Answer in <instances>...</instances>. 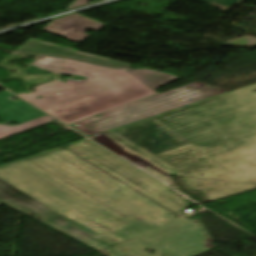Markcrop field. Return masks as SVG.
<instances>
[{"label":"crop field","mask_w":256,"mask_h":256,"mask_svg":"<svg viewBox=\"0 0 256 256\" xmlns=\"http://www.w3.org/2000/svg\"><path fill=\"white\" fill-rule=\"evenodd\" d=\"M137 71H140L141 73H138ZM133 76L141 80L143 83L148 85L149 87H153L152 89H155L157 87H160L174 79H177L179 77L157 72V71H149V70H133L130 69L128 71ZM150 87V88H151Z\"/></svg>","instance_id":"obj_12"},{"label":"crop field","mask_w":256,"mask_h":256,"mask_svg":"<svg viewBox=\"0 0 256 256\" xmlns=\"http://www.w3.org/2000/svg\"><path fill=\"white\" fill-rule=\"evenodd\" d=\"M33 88L35 89V92L31 94H20V93H16V94L24 98L25 100L31 102L35 100L37 96L42 97L44 95L68 88V86L65 85L62 81H52L42 85L35 86Z\"/></svg>","instance_id":"obj_13"},{"label":"crop field","mask_w":256,"mask_h":256,"mask_svg":"<svg viewBox=\"0 0 256 256\" xmlns=\"http://www.w3.org/2000/svg\"><path fill=\"white\" fill-rule=\"evenodd\" d=\"M89 138H91L93 140L125 141V140L119 138L118 136L108 132V131L100 133V134L92 136V137H89Z\"/></svg>","instance_id":"obj_15"},{"label":"crop field","mask_w":256,"mask_h":256,"mask_svg":"<svg viewBox=\"0 0 256 256\" xmlns=\"http://www.w3.org/2000/svg\"><path fill=\"white\" fill-rule=\"evenodd\" d=\"M0 201L21 213L26 211L8 203V201L41 218L49 216L40 222L97 251H103L109 247V245L90 235L94 231L51 211L1 179Z\"/></svg>","instance_id":"obj_6"},{"label":"crop field","mask_w":256,"mask_h":256,"mask_svg":"<svg viewBox=\"0 0 256 256\" xmlns=\"http://www.w3.org/2000/svg\"><path fill=\"white\" fill-rule=\"evenodd\" d=\"M0 178L44 206L116 241L109 231L141 216L153 223L174 213L69 150L0 169Z\"/></svg>","instance_id":"obj_1"},{"label":"crop field","mask_w":256,"mask_h":256,"mask_svg":"<svg viewBox=\"0 0 256 256\" xmlns=\"http://www.w3.org/2000/svg\"><path fill=\"white\" fill-rule=\"evenodd\" d=\"M76 149L85 154V156L82 158H84L86 161L148 197L164 192L160 188L156 187L88 145L78 147Z\"/></svg>","instance_id":"obj_8"},{"label":"crop field","mask_w":256,"mask_h":256,"mask_svg":"<svg viewBox=\"0 0 256 256\" xmlns=\"http://www.w3.org/2000/svg\"><path fill=\"white\" fill-rule=\"evenodd\" d=\"M89 0H76L73 4H71L67 9H72L80 6H84Z\"/></svg>","instance_id":"obj_16"},{"label":"crop field","mask_w":256,"mask_h":256,"mask_svg":"<svg viewBox=\"0 0 256 256\" xmlns=\"http://www.w3.org/2000/svg\"><path fill=\"white\" fill-rule=\"evenodd\" d=\"M12 54L39 58L37 61H35L23 72V73H29V74H40L44 72L60 74L64 60H65L62 58L41 56V55H31V54H21V53H12ZM39 68H41L42 71ZM33 69H38V70L36 71Z\"/></svg>","instance_id":"obj_11"},{"label":"crop field","mask_w":256,"mask_h":256,"mask_svg":"<svg viewBox=\"0 0 256 256\" xmlns=\"http://www.w3.org/2000/svg\"><path fill=\"white\" fill-rule=\"evenodd\" d=\"M16 51L68 57V58L83 60L87 62L107 65V66L115 67L118 69L131 68L132 66L130 64H126L118 61L110 62V60L107 58L85 54L82 52L74 51L69 48L61 47L58 45H54L51 43L43 42V41L32 39V38L27 40Z\"/></svg>","instance_id":"obj_9"},{"label":"crop field","mask_w":256,"mask_h":256,"mask_svg":"<svg viewBox=\"0 0 256 256\" xmlns=\"http://www.w3.org/2000/svg\"><path fill=\"white\" fill-rule=\"evenodd\" d=\"M204 3L210 4L212 6L218 7L220 9H227L229 6L234 4L235 2H242L244 0H199Z\"/></svg>","instance_id":"obj_14"},{"label":"crop field","mask_w":256,"mask_h":256,"mask_svg":"<svg viewBox=\"0 0 256 256\" xmlns=\"http://www.w3.org/2000/svg\"><path fill=\"white\" fill-rule=\"evenodd\" d=\"M227 91L230 90L195 82L103 113L101 118L92 117L71 125L92 136Z\"/></svg>","instance_id":"obj_5"},{"label":"crop field","mask_w":256,"mask_h":256,"mask_svg":"<svg viewBox=\"0 0 256 256\" xmlns=\"http://www.w3.org/2000/svg\"><path fill=\"white\" fill-rule=\"evenodd\" d=\"M97 142L175 188L169 174L256 184V147Z\"/></svg>","instance_id":"obj_2"},{"label":"crop field","mask_w":256,"mask_h":256,"mask_svg":"<svg viewBox=\"0 0 256 256\" xmlns=\"http://www.w3.org/2000/svg\"><path fill=\"white\" fill-rule=\"evenodd\" d=\"M11 96L20 100L7 91L0 94V120L4 122L12 120L19 125L14 127L0 125V138L54 120L22 100L19 103L5 100Z\"/></svg>","instance_id":"obj_7"},{"label":"crop field","mask_w":256,"mask_h":256,"mask_svg":"<svg viewBox=\"0 0 256 256\" xmlns=\"http://www.w3.org/2000/svg\"><path fill=\"white\" fill-rule=\"evenodd\" d=\"M89 19L73 14L52 21L43 30L73 42H81L90 36L85 34L87 29L97 31L105 26Z\"/></svg>","instance_id":"obj_10"},{"label":"crop field","mask_w":256,"mask_h":256,"mask_svg":"<svg viewBox=\"0 0 256 256\" xmlns=\"http://www.w3.org/2000/svg\"><path fill=\"white\" fill-rule=\"evenodd\" d=\"M90 145L131 171L165 190L166 192L150 197L164 207L178 212L179 217H170L163 223L154 225L140 217L123 222L122 227L110 233L123 241L100 252L106 256H194L214 247L211 246L212 239L199 221L189 219L181 214L184 202L180 197L169 191L166 187L85 140L77 142L76 145L68 147L71 151L84 156L75 148L82 145ZM91 147V148H92ZM150 248L148 251H143ZM156 250L152 255L149 253Z\"/></svg>","instance_id":"obj_3"},{"label":"crop field","mask_w":256,"mask_h":256,"mask_svg":"<svg viewBox=\"0 0 256 256\" xmlns=\"http://www.w3.org/2000/svg\"><path fill=\"white\" fill-rule=\"evenodd\" d=\"M61 74H76L88 79L67 80L72 88L31 103L68 125L156 94L126 70L66 59Z\"/></svg>","instance_id":"obj_4"}]
</instances>
